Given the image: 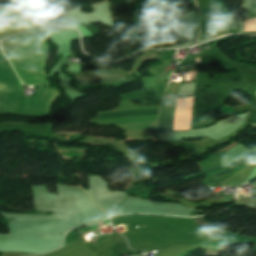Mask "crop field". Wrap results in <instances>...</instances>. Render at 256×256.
Masks as SVG:
<instances>
[{
    "label": "crop field",
    "mask_w": 256,
    "mask_h": 256,
    "mask_svg": "<svg viewBox=\"0 0 256 256\" xmlns=\"http://www.w3.org/2000/svg\"><path fill=\"white\" fill-rule=\"evenodd\" d=\"M23 87L10 67L3 53L0 54V109H16L24 111L50 113V107L60 97L57 89L38 86L35 98L22 96ZM46 113L0 110V114L47 117Z\"/></svg>",
    "instance_id": "8a807250"
},
{
    "label": "crop field",
    "mask_w": 256,
    "mask_h": 256,
    "mask_svg": "<svg viewBox=\"0 0 256 256\" xmlns=\"http://www.w3.org/2000/svg\"><path fill=\"white\" fill-rule=\"evenodd\" d=\"M48 50V37H38L5 54L24 85H49L45 72Z\"/></svg>",
    "instance_id": "ac0d7876"
},
{
    "label": "crop field",
    "mask_w": 256,
    "mask_h": 256,
    "mask_svg": "<svg viewBox=\"0 0 256 256\" xmlns=\"http://www.w3.org/2000/svg\"><path fill=\"white\" fill-rule=\"evenodd\" d=\"M201 31L228 26V17L220 10L218 4L202 8Z\"/></svg>",
    "instance_id": "34b2d1b8"
},
{
    "label": "crop field",
    "mask_w": 256,
    "mask_h": 256,
    "mask_svg": "<svg viewBox=\"0 0 256 256\" xmlns=\"http://www.w3.org/2000/svg\"><path fill=\"white\" fill-rule=\"evenodd\" d=\"M176 99L163 100L157 131L172 130Z\"/></svg>",
    "instance_id": "412701ff"
},
{
    "label": "crop field",
    "mask_w": 256,
    "mask_h": 256,
    "mask_svg": "<svg viewBox=\"0 0 256 256\" xmlns=\"http://www.w3.org/2000/svg\"><path fill=\"white\" fill-rule=\"evenodd\" d=\"M190 1L192 3L193 10H195L197 8V5H196V8H195L196 0H194L195 4H194L193 0H190ZM181 19H182V22H183V27L179 31L180 36L198 31V29H199L198 10H195V11L187 14L186 16L182 17Z\"/></svg>",
    "instance_id": "f4fd0767"
},
{
    "label": "crop field",
    "mask_w": 256,
    "mask_h": 256,
    "mask_svg": "<svg viewBox=\"0 0 256 256\" xmlns=\"http://www.w3.org/2000/svg\"><path fill=\"white\" fill-rule=\"evenodd\" d=\"M256 157V152L250 150L248 153H246L243 157H241L239 160H237L235 163H233L231 166L223 169L222 171L218 173H213L216 177V179L220 182L226 177H228L230 174L250 162L252 159Z\"/></svg>",
    "instance_id": "dd49c442"
},
{
    "label": "crop field",
    "mask_w": 256,
    "mask_h": 256,
    "mask_svg": "<svg viewBox=\"0 0 256 256\" xmlns=\"http://www.w3.org/2000/svg\"><path fill=\"white\" fill-rule=\"evenodd\" d=\"M78 84L81 86H92L119 82H128L132 80H125V77H113V78H89V79H77Z\"/></svg>",
    "instance_id": "e52e79f7"
},
{
    "label": "crop field",
    "mask_w": 256,
    "mask_h": 256,
    "mask_svg": "<svg viewBox=\"0 0 256 256\" xmlns=\"http://www.w3.org/2000/svg\"><path fill=\"white\" fill-rule=\"evenodd\" d=\"M154 113H158V109L133 111V112H123V113H113V114H103V115H98L97 118H92L90 120L115 118V117H125V116H134V115H144V114H154Z\"/></svg>",
    "instance_id": "d8731c3e"
},
{
    "label": "crop field",
    "mask_w": 256,
    "mask_h": 256,
    "mask_svg": "<svg viewBox=\"0 0 256 256\" xmlns=\"http://www.w3.org/2000/svg\"><path fill=\"white\" fill-rule=\"evenodd\" d=\"M213 241H216L218 233L214 228L206 223L201 217L191 218Z\"/></svg>",
    "instance_id": "5a996713"
},
{
    "label": "crop field",
    "mask_w": 256,
    "mask_h": 256,
    "mask_svg": "<svg viewBox=\"0 0 256 256\" xmlns=\"http://www.w3.org/2000/svg\"><path fill=\"white\" fill-rule=\"evenodd\" d=\"M232 111H233L232 108H226V107L222 106L220 118L231 114Z\"/></svg>",
    "instance_id": "3316defc"
}]
</instances>
